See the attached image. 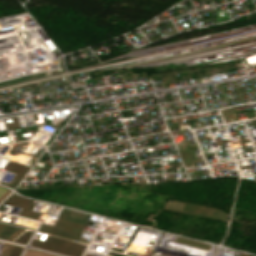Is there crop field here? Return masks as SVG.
Instances as JSON below:
<instances>
[{
    "label": "crop field",
    "instance_id": "obj_1",
    "mask_svg": "<svg viewBox=\"0 0 256 256\" xmlns=\"http://www.w3.org/2000/svg\"><path fill=\"white\" fill-rule=\"evenodd\" d=\"M24 256H53V255L27 249Z\"/></svg>",
    "mask_w": 256,
    "mask_h": 256
},
{
    "label": "crop field",
    "instance_id": "obj_2",
    "mask_svg": "<svg viewBox=\"0 0 256 256\" xmlns=\"http://www.w3.org/2000/svg\"><path fill=\"white\" fill-rule=\"evenodd\" d=\"M7 188H4L2 186H0V195L6 190Z\"/></svg>",
    "mask_w": 256,
    "mask_h": 256
},
{
    "label": "crop field",
    "instance_id": "obj_3",
    "mask_svg": "<svg viewBox=\"0 0 256 256\" xmlns=\"http://www.w3.org/2000/svg\"><path fill=\"white\" fill-rule=\"evenodd\" d=\"M241 255L247 256V254L242 253Z\"/></svg>",
    "mask_w": 256,
    "mask_h": 256
}]
</instances>
